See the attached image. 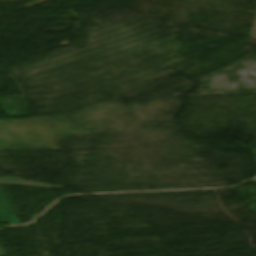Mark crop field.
I'll use <instances>...</instances> for the list:
<instances>
[{"label": "crop field", "instance_id": "obj_1", "mask_svg": "<svg viewBox=\"0 0 256 256\" xmlns=\"http://www.w3.org/2000/svg\"><path fill=\"white\" fill-rule=\"evenodd\" d=\"M0 221L19 224L4 194L0 189Z\"/></svg>", "mask_w": 256, "mask_h": 256}]
</instances>
